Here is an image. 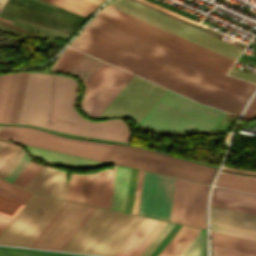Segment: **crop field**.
Here are the masks:
<instances>
[{
	"instance_id": "obj_3",
	"label": "crop field",
	"mask_w": 256,
	"mask_h": 256,
	"mask_svg": "<svg viewBox=\"0 0 256 256\" xmlns=\"http://www.w3.org/2000/svg\"><path fill=\"white\" fill-rule=\"evenodd\" d=\"M142 219L96 207L62 250L113 256Z\"/></svg>"
},
{
	"instance_id": "obj_18",
	"label": "crop field",
	"mask_w": 256,
	"mask_h": 256,
	"mask_svg": "<svg viewBox=\"0 0 256 256\" xmlns=\"http://www.w3.org/2000/svg\"><path fill=\"white\" fill-rule=\"evenodd\" d=\"M211 221L256 231V215L213 205Z\"/></svg>"
},
{
	"instance_id": "obj_50",
	"label": "crop field",
	"mask_w": 256,
	"mask_h": 256,
	"mask_svg": "<svg viewBox=\"0 0 256 256\" xmlns=\"http://www.w3.org/2000/svg\"><path fill=\"white\" fill-rule=\"evenodd\" d=\"M211 204L256 214V210L255 209L245 208V207L231 205V204L222 203V202H217V201H213V200H211Z\"/></svg>"
},
{
	"instance_id": "obj_48",
	"label": "crop field",
	"mask_w": 256,
	"mask_h": 256,
	"mask_svg": "<svg viewBox=\"0 0 256 256\" xmlns=\"http://www.w3.org/2000/svg\"><path fill=\"white\" fill-rule=\"evenodd\" d=\"M256 118V94L251 100L245 114L243 115L242 120H247V119H253Z\"/></svg>"
},
{
	"instance_id": "obj_17",
	"label": "crop field",
	"mask_w": 256,
	"mask_h": 256,
	"mask_svg": "<svg viewBox=\"0 0 256 256\" xmlns=\"http://www.w3.org/2000/svg\"><path fill=\"white\" fill-rule=\"evenodd\" d=\"M115 169L116 166L93 174L88 204L109 208Z\"/></svg>"
},
{
	"instance_id": "obj_7",
	"label": "crop field",
	"mask_w": 256,
	"mask_h": 256,
	"mask_svg": "<svg viewBox=\"0 0 256 256\" xmlns=\"http://www.w3.org/2000/svg\"><path fill=\"white\" fill-rule=\"evenodd\" d=\"M65 202L35 194L2 234L0 244L30 247Z\"/></svg>"
},
{
	"instance_id": "obj_53",
	"label": "crop field",
	"mask_w": 256,
	"mask_h": 256,
	"mask_svg": "<svg viewBox=\"0 0 256 256\" xmlns=\"http://www.w3.org/2000/svg\"><path fill=\"white\" fill-rule=\"evenodd\" d=\"M13 25H17V26H20V27H24V28L35 30V31H38V32H42V33H46V34H49V35H53V36H56V37H59V38L65 39V40L68 39V37L61 36V35H58V34H55V33H52V32H48V31L36 28V27H32V26H29V25H26V24H23V23H19V22H16V21H14Z\"/></svg>"
},
{
	"instance_id": "obj_38",
	"label": "crop field",
	"mask_w": 256,
	"mask_h": 256,
	"mask_svg": "<svg viewBox=\"0 0 256 256\" xmlns=\"http://www.w3.org/2000/svg\"><path fill=\"white\" fill-rule=\"evenodd\" d=\"M18 148L19 146L13 143L0 141V170L17 151Z\"/></svg>"
},
{
	"instance_id": "obj_26",
	"label": "crop field",
	"mask_w": 256,
	"mask_h": 256,
	"mask_svg": "<svg viewBox=\"0 0 256 256\" xmlns=\"http://www.w3.org/2000/svg\"><path fill=\"white\" fill-rule=\"evenodd\" d=\"M64 9L70 10L77 14L87 17L98 5L90 0H43Z\"/></svg>"
},
{
	"instance_id": "obj_10",
	"label": "crop field",
	"mask_w": 256,
	"mask_h": 256,
	"mask_svg": "<svg viewBox=\"0 0 256 256\" xmlns=\"http://www.w3.org/2000/svg\"><path fill=\"white\" fill-rule=\"evenodd\" d=\"M166 91L163 87L133 76L97 118L126 117L138 124Z\"/></svg>"
},
{
	"instance_id": "obj_49",
	"label": "crop field",
	"mask_w": 256,
	"mask_h": 256,
	"mask_svg": "<svg viewBox=\"0 0 256 256\" xmlns=\"http://www.w3.org/2000/svg\"><path fill=\"white\" fill-rule=\"evenodd\" d=\"M228 74L256 83V75L231 68Z\"/></svg>"
},
{
	"instance_id": "obj_15",
	"label": "crop field",
	"mask_w": 256,
	"mask_h": 256,
	"mask_svg": "<svg viewBox=\"0 0 256 256\" xmlns=\"http://www.w3.org/2000/svg\"><path fill=\"white\" fill-rule=\"evenodd\" d=\"M45 171H47V173H45ZM66 173L67 172L42 166L27 187H25L33 192L66 199L68 187Z\"/></svg>"
},
{
	"instance_id": "obj_56",
	"label": "crop field",
	"mask_w": 256,
	"mask_h": 256,
	"mask_svg": "<svg viewBox=\"0 0 256 256\" xmlns=\"http://www.w3.org/2000/svg\"><path fill=\"white\" fill-rule=\"evenodd\" d=\"M11 221L12 219H9L0 215V234L10 224Z\"/></svg>"
},
{
	"instance_id": "obj_32",
	"label": "crop field",
	"mask_w": 256,
	"mask_h": 256,
	"mask_svg": "<svg viewBox=\"0 0 256 256\" xmlns=\"http://www.w3.org/2000/svg\"><path fill=\"white\" fill-rule=\"evenodd\" d=\"M23 204L10 198L0 195V214L14 219L16 214L22 208ZM24 207V206H23Z\"/></svg>"
},
{
	"instance_id": "obj_1",
	"label": "crop field",
	"mask_w": 256,
	"mask_h": 256,
	"mask_svg": "<svg viewBox=\"0 0 256 256\" xmlns=\"http://www.w3.org/2000/svg\"><path fill=\"white\" fill-rule=\"evenodd\" d=\"M70 46L199 102L236 114L256 87L95 18Z\"/></svg>"
},
{
	"instance_id": "obj_62",
	"label": "crop field",
	"mask_w": 256,
	"mask_h": 256,
	"mask_svg": "<svg viewBox=\"0 0 256 256\" xmlns=\"http://www.w3.org/2000/svg\"><path fill=\"white\" fill-rule=\"evenodd\" d=\"M0 16H2V15H0ZM2 17H4V18H7V19H10V18H8V17H5V16H2ZM10 20H12V21H13V19H10Z\"/></svg>"
},
{
	"instance_id": "obj_12",
	"label": "crop field",
	"mask_w": 256,
	"mask_h": 256,
	"mask_svg": "<svg viewBox=\"0 0 256 256\" xmlns=\"http://www.w3.org/2000/svg\"><path fill=\"white\" fill-rule=\"evenodd\" d=\"M94 208L67 201L31 247L61 250Z\"/></svg>"
},
{
	"instance_id": "obj_11",
	"label": "crop field",
	"mask_w": 256,
	"mask_h": 256,
	"mask_svg": "<svg viewBox=\"0 0 256 256\" xmlns=\"http://www.w3.org/2000/svg\"><path fill=\"white\" fill-rule=\"evenodd\" d=\"M132 77L131 74L102 62L83 83L81 110L96 118Z\"/></svg>"
},
{
	"instance_id": "obj_54",
	"label": "crop field",
	"mask_w": 256,
	"mask_h": 256,
	"mask_svg": "<svg viewBox=\"0 0 256 256\" xmlns=\"http://www.w3.org/2000/svg\"><path fill=\"white\" fill-rule=\"evenodd\" d=\"M0 194H3L5 196H7V197H10V198H12V199H14L16 201H19V202H21L23 204H25L28 201V199H26L24 197H21V196H19L17 194H14V193H12L10 191H7V190H5L3 188H0Z\"/></svg>"
},
{
	"instance_id": "obj_39",
	"label": "crop field",
	"mask_w": 256,
	"mask_h": 256,
	"mask_svg": "<svg viewBox=\"0 0 256 256\" xmlns=\"http://www.w3.org/2000/svg\"><path fill=\"white\" fill-rule=\"evenodd\" d=\"M173 225V223L167 222L166 225L161 229V231L157 234V236L153 239V241L148 245V247L140 256H149L151 252L156 248V246L160 243V241L164 238V236L173 227Z\"/></svg>"
},
{
	"instance_id": "obj_5",
	"label": "crop field",
	"mask_w": 256,
	"mask_h": 256,
	"mask_svg": "<svg viewBox=\"0 0 256 256\" xmlns=\"http://www.w3.org/2000/svg\"><path fill=\"white\" fill-rule=\"evenodd\" d=\"M224 115L225 112L168 90L138 125L151 130L179 133L213 131Z\"/></svg>"
},
{
	"instance_id": "obj_19",
	"label": "crop field",
	"mask_w": 256,
	"mask_h": 256,
	"mask_svg": "<svg viewBox=\"0 0 256 256\" xmlns=\"http://www.w3.org/2000/svg\"><path fill=\"white\" fill-rule=\"evenodd\" d=\"M199 231V229L182 226L158 256H180Z\"/></svg>"
},
{
	"instance_id": "obj_33",
	"label": "crop field",
	"mask_w": 256,
	"mask_h": 256,
	"mask_svg": "<svg viewBox=\"0 0 256 256\" xmlns=\"http://www.w3.org/2000/svg\"><path fill=\"white\" fill-rule=\"evenodd\" d=\"M28 74L29 73L21 74V78H20V82H19V86H18V90H17V94H16V98H15V102H14V106H13V110H12V114H11L9 123L16 124V122H17V118H18V114H19V110H20V106H21V102H22V98H23V94H24V90H25V86H26V82H27V78H28Z\"/></svg>"
},
{
	"instance_id": "obj_34",
	"label": "crop field",
	"mask_w": 256,
	"mask_h": 256,
	"mask_svg": "<svg viewBox=\"0 0 256 256\" xmlns=\"http://www.w3.org/2000/svg\"><path fill=\"white\" fill-rule=\"evenodd\" d=\"M20 74L21 73H16V74L13 75V79H12V83H11V87H10V91H9V95H8V99H7V102H6V106H5V110H4V114H3V118H2L1 123H8L9 122V118H10V114H11V110H12V106H13V102H14V98H15V94H16Z\"/></svg>"
},
{
	"instance_id": "obj_55",
	"label": "crop field",
	"mask_w": 256,
	"mask_h": 256,
	"mask_svg": "<svg viewBox=\"0 0 256 256\" xmlns=\"http://www.w3.org/2000/svg\"><path fill=\"white\" fill-rule=\"evenodd\" d=\"M16 21L23 22V23H26V24H29V25H32V26H36V27H39V28H42V29H45V30H48V31H52V32H55V33H58V34H61V35H65V36H68V37L70 35L69 33H65V32H62V31H59V30L48 28V27L38 25V24H35V23H32V22H28V21H25V20H22V19L16 18Z\"/></svg>"
},
{
	"instance_id": "obj_16",
	"label": "crop field",
	"mask_w": 256,
	"mask_h": 256,
	"mask_svg": "<svg viewBox=\"0 0 256 256\" xmlns=\"http://www.w3.org/2000/svg\"><path fill=\"white\" fill-rule=\"evenodd\" d=\"M24 147L34 157L46 160L56 166L76 168V169H93V168L109 165L99 161L89 160V159L80 158V157H73V156L56 153L52 151L32 148L28 146H24Z\"/></svg>"
},
{
	"instance_id": "obj_58",
	"label": "crop field",
	"mask_w": 256,
	"mask_h": 256,
	"mask_svg": "<svg viewBox=\"0 0 256 256\" xmlns=\"http://www.w3.org/2000/svg\"><path fill=\"white\" fill-rule=\"evenodd\" d=\"M3 76H4V75H1V76H0V88H1L2 80H3Z\"/></svg>"
},
{
	"instance_id": "obj_57",
	"label": "crop field",
	"mask_w": 256,
	"mask_h": 256,
	"mask_svg": "<svg viewBox=\"0 0 256 256\" xmlns=\"http://www.w3.org/2000/svg\"><path fill=\"white\" fill-rule=\"evenodd\" d=\"M166 222H163L161 226L156 230V232L151 236V238L146 242V244L141 248V250L136 254V256H139L143 250L147 247V245L151 242V240L156 236V234L160 231V229L165 225Z\"/></svg>"
},
{
	"instance_id": "obj_42",
	"label": "crop field",
	"mask_w": 256,
	"mask_h": 256,
	"mask_svg": "<svg viewBox=\"0 0 256 256\" xmlns=\"http://www.w3.org/2000/svg\"><path fill=\"white\" fill-rule=\"evenodd\" d=\"M0 186L5 188V189H8V190H10L12 192H15V193H17V194H19L21 196H24V197H26L28 199H30V197L33 194L32 192H30L28 190H25V189H23L21 187H18L16 185H14V184L6 182V181H4L2 179H0Z\"/></svg>"
},
{
	"instance_id": "obj_8",
	"label": "crop field",
	"mask_w": 256,
	"mask_h": 256,
	"mask_svg": "<svg viewBox=\"0 0 256 256\" xmlns=\"http://www.w3.org/2000/svg\"><path fill=\"white\" fill-rule=\"evenodd\" d=\"M0 139L11 140L97 160H100L111 146L109 144L66 138L28 127L15 126H4L0 131Z\"/></svg>"
},
{
	"instance_id": "obj_30",
	"label": "crop field",
	"mask_w": 256,
	"mask_h": 256,
	"mask_svg": "<svg viewBox=\"0 0 256 256\" xmlns=\"http://www.w3.org/2000/svg\"><path fill=\"white\" fill-rule=\"evenodd\" d=\"M0 256H87V255L0 247Z\"/></svg>"
},
{
	"instance_id": "obj_40",
	"label": "crop field",
	"mask_w": 256,
	"mask_h": 256,
	"mask_svg": "<svg viewBox=\"0 0 256 256\" xmlns=\"http://www.w3.org/2000/svg\"><path fill=\"white\" fill-rule=\"evenodd\" d=\"M12 75L13 74H9V75H5V77H4V81H3V85H2V89H1V93H0V122H1L2 114H3L6 98L8 95Z\"/></svg>"
},
{
	"instance_id": "obj_63",
	"label": "crop field",
	"mask_w": 256,
	"mask_h": 256,
	"mask_svg": "<svg viewBox=\"0 0 256 256\" xmlns=\"http://www.w3.org/2000/svg\"><path fill=\"white\" fill-rule=\"evenodd\" d=\"M93 1L100 3V1H98V0H93Z\"/></svg>"
},
{
	"instance_id": "obj_20",
	"label": "crop field",
	"mask_w": 256,
	"mask_h": 256,
	"mask_svg": "<svg viewBox=\"0 0 256 256\" xmlns=\"http://www.w3.org/2000/svg\"><path fill=\"white\" fill-rule=\"evenodd\" d=\"M212 245L256 255V241L211 231Z\"/></svg>"
},
{
	"instance_id": "obj_46",
	"label": "crop field",
	"mask_w": 256,
	"mask_h": 256,
	"mask_svg": "<svg viewBox=\"0 0 256 256\" xmlns=\"http://www.w3.org/2000/svg\"><path fill=\"white\" fill-rule=\"evenodd\" d=\"M213 256H255L212 246Z\"/></svg>"
},
{
	"instance_id": "obj_65",
	"label": "crop field",
	"mask_w": 256,
	"mask_h": 256,
	"mask_svg": "<svg viewBox=\"0 0 256 256\" xmlns=\"http://www.w3.org/2000/svg\"><path fill=\"white\" fill-rule=\"evenodd\" d=\"M2 6H0V8H1Z\"/></svg>"
},
{
	"instance_id": "obj_28",
	"label": "crop field",
	"mask_w": 256,
	"mask_h": 256,
	"mask_svg": "<svg viewBox=\"0 0 256 256\" xmlns=\"http://www.w3.org/2000/svg\"><path fill=\"white\" fill-rule=\"evenodd\" d=\"M207 186L200 185L198 187L194 217L192 226L198 228H204V221H205V203H206V196L208 192Z\"/></svg>"
},
{
	"instance_id": "obj_59",
	"label": "crop field",
	"mask_w": 256,
	"mask_h": 256,
	"mask_svg": "<svg viewBox=\"0 0 256 256\" xmlns=\"http://www.w3.org/2000/svg\"><path fill=\"white\" fill-rule=\"evenodd\" d=\"M13 1H17V2H20V3H23V4L26 3L25 1H22V0H13Z\"/></svg>"
},
{
	"instance_id": "obj_45",
	"label": "crop field",
	"mask_w": 256,
	"mask_h": 256,
	"mask_svg": "<svg viewBox=\"0 0 256 256\" xmlns=\"http://www.w3.org/2000/svg\"><path fill=\"white\" fill-rule=\"evenodd\" d=\"M144 171L139 170L132 213L137 214Z\"/></svg>"
},
{
	"instance_id": "obj_35",
	"label": "crop field",
	"mask_w": 256,
	"mask_h": 256,
	"mask_svg": "<svg viewBox=\"0 0 256 256\" xmlns=\"http://www.w3.org/2000/svg\"><path fill=\"white\" fill-rule=\"evenodd\" d=\"M41 166L29 162L22 172L15 178L13 183L25 188L33 176L37 173Z\"/></svg>"
},
{
	"instance_id": "obj_24",
	"label": "crop field",
	"mask_w": 256,
	"mask_h": 256,
	"mask_svg": "<svg viewBox=\"0 0 256 256\" xmlns=\"http://www.w3.org/2000/svg\"><path fill=\"white\" fill-rule=\"evenodd\" d=\"M29 4V3H28ZM28 4H26V7H30V8H34V9H37V10H41V11H45V12H48V13H51V14H53V12L52 11H50V10H46V9H43V8H39V7H36V6H32V5H28ZM26 7H24V9H27V10H30V11H33V12H37V13H40V14H43V15H46V16H49V17H51V14H48V13H45V12H41V11H37V10H34V9H30V8H26ZM23 9V10H24ZM27 10H25V11H27ZM29 11V12H30ZM22 13H25V14H28V15H32V16H35V17H38V18H41V19H44V20H48V21H51V22H54V23H57V24H60V25H63V26H67V27H70V28H73V29H75V27L79 24V22H81V21H79V20H77V19H75V18H73V17H70V16H66V15H63V14H60V13H56V12H54V15H58V16H61V17H65V18H68V19H72V20H75V21H79V22H75V21H72V20H68V19H65V18H61V17H58V16H54L53 15V17H57V18H60V19H64V20H67V21H71V22H74V23H78L75 27H72V26H68V25H65V24H62V23H59V22H55V21H52V20H49V19H46V18H43V17H39V16H36V15H33V14H30V13H26V12H23V11H21ZM32 12V13H33ZM22 13H20V15H23V16H27V17H30V18H33V19H36V20H39V21H43V22H46V23H49V24H52V25H56V26H60V25H57V24H54V23H51V22H47V21H44V20H41V19H38V18H35V17H32V16H28V15H25V14H22ZM36 14V13H35ZM39 14V15H40ZM20 15H18V18H22V19H25V20H28V21H32V22H35V23H38V24H42V25H45V26H49V27H52V28H58L59 30H63V31H66V32H70V33H72V30H68V29H70V28H68V29H64V28H67V27H64V28H60V27H63V26H60V27H56V26H52V25H49V24H46V23H42V22H39V21H36V20H33V19H30V18H26V17H23V16H20ZM42 15V16H43ZM45 16V17H46ZM52 17V18H53ZM56 18V19H57ZM59 19V20H60ZM63 20V21H64ZM62 21V22H63ZM66 21V22H67ZM73 23V24H74ZM72 24V25H73Z\"/></svg>"
},
{
	"instance_id": "obj_37",
	"label": "crop field",
	"mask_w": 256,
	"mask_h": 256,
	"mask_svg": "<svg viewBox=\"0 0 256 256\" xmlns=\"http://www.w3.org/2000/svg\"><path fill=\"white\" fill-rule=\"evenodd\" d=\"M83 175L71 174L67 199L79 202Z\"/></svg>"
},
{
	"instance_id": "obj_43",
	"label": "crop field",
	"mask_w": 256,
	"mask_h": 256,
	"mask_svg": "<svg viewBox=\"0 0 256 256\" xmlns=\"http://www.w3.org/2000/svg\"><path fill=\"white\" fill-rule=\"evenodd\" d=\"M24 151L20 147L19 150L14 154V156L9 160V162L4 166V168L0 171V177L5 178L8 172L12 169V167L16 164L19 158L23 155Z\"/></svg>"
},
{
	"instance_id": "obj_60",
	"label": "crop field",
	"mask_w": 256,
	"mask_h": 256,
	"mask_svg": "<svg viewBox=\"0 0 256 256\" xmlns=\"http://www.w3.org/2000/svg\"><path fill=\"white\" fill-rule=\"evenodd\" d=\"M0 19H1V20H4V21H7V22H9V23H12V21H9V20H7V19L1 18V17H0Z\"/></svg>"
},
{
	"instance_id": "obj_61",
	"label": "crop field",
	"mask_w": 256,
	"mask_h": 256,
	"mask_svg": "<svg viewBox=\"0 0 256 256\" xmlns=\"http://www.w3.org/2000/svg\"><path fill=\"white\" fill-rule=\"evenodd\" d=\"M6 0H0V4L3 5V3L5 2ZM5 4V3H4Z\"/></svg>"
},
{
	"instance_id": "obj_29",
	"label": "crop field",
	"mask_w": 256,
	"mask_h": 256,
	"mask_svg": "<svg viewBox=\"0 0 256 256\" xmlns=\"http://www.w3.org/2000/svg\"><path fill=\"white\" fill-rule=\"evenodd\" d=\"M100 63L101 61L85 54L69 73L78 76L83 83Z\"/></svg>"
},
{
	"instance_id": "obj_64",
	"label": "crop field",
	"mask_w": 256,
	"mask_h": 256,
	"mask_svg": "<svg viewBox=\"0 0 256 256\" xmlns=\"http://www.w3.org/2000/svg\"><path fill=\"white\" fill-rule=\"evenodd\" d=\"M3 126H0V130L2 129Z\"/></svg>"
},
{
	"instance_id": "obj_31",
	"label": "crop field",
	"mask_w": 256,
	"mask_h": 256,
	"mask_svg": "<svg viewBox=\"0 0 256 256\" xmlns=\"http://www.w3.org/2000/svg\"><path fill=\"white\" fill-rule=\"evenodd\" d=\"M211 230L256 240V232L211 222Z\"/></svg>"
},
{
	"instance_id": "obj_14",
	"label": "crop field",
	"mask_w": 256,
	"mask_h": 256,
	"mask_svg": "<svg viewBox=\"0 0 256 256\" xmlns=\"http://www.w3.org/2000/svg\"><path fill=\"white\" fill-rule=\"evenodd\" d=\"M198 183L176 178L169 221L190 225Z\"/></svg>"
},
{
	"instance_id": "obj_13",
	"label": "crop field",
	"mask_w": 256,
	"mask_h": 256,
	"mask_svg": "<svg viewBox=\"0 0 256 256\" xmlns=\"http://www.w3.org/2000/svg\"><path fill=\"white\" fill-rule=\"evenodd\" d=\"M174 181L145 172L138 215L168 221Z\"/></svg>"
},
{
	"instance_id": "obj_22",
	"label": "crop field",
	"mask_w": 256,
	"mask_h": 256,
	"mask_svg": "<svg viewBox=\"0 0 256 256\" xmlns=\"http://www.w3.org/2000/svg\"><path fill=\"white\" fill-rule=\"evenodd\" d=\"M211 199L256 209L255 195L241 193L220 187H214Z\"/></svg>"
},
{
	"instance_id": "obj_4",
	"label": "crop field",
	"mask_w": 256,
	"mask_h": 256,
	"mask_svg": "<svg viewBox=\"0 0 256 256\" xmlns=\"http://www.w3.org/2000/svg\"><path fill=\"white\" fill-rule=\"evenodd\" d=\"M95 18L148 40L170 51L210 67L223 74L233 60L129 16L109 6L102 8Z\"/></svg>"
},
{
	"instance_id": "obj_44",
	"label": "crop field",
	"mask_w": 256,
	"mask_h": 256,
	"mask_svg": "<svg viewBox=\"0 0 256 256\" xmlns=\"http://www.w3.org/2000/svg\"><path fill=\"white\" fill-rule=\"evenodd\" d=\"M9 2H12V3H14V4L20 5V6H22V7L24 6L23 4L16 3V2H13V1H10V0H9ZM9 2L6 3L5 7H8V8H10V9L16 10V11H18V12L21 11L22 7H19V6H17V5L11 4V3H9ZM5 7H3V9H2L1 12H0V14H3V15H5V16H8V17H11V18L15 19V17L18 15V12H15V11H13V10L7 9V8H5Z\"/></svg>"
},
{
	"instance_id": "obj_27",
	"label": "crop field",
	"mask_w": 256,
	"mask_h": 256,
	"mask_svg": "<svg viewBox=\"0 0 256 256\" xmlns=\"http://www.w3.org/2000/svg\"><path fill=\"white\" fill-rule=\"evenodd\" d=\"M83 55L82 52L66 47L50 69L68 73Z\"/></svg>"
},
{
	"instance_id": "obj_6",
	"label": "crop field",
	"mask_w": 256,
	"mask_h": 256,
	"mask_svg": "<svg viewBox=\"0 0 256 256\" xmlns=\"http://www.w3.org/2000/svg\"><path fill=\"white\" fill-rule=\"evenodd\" d=\"M102 161L210 183L215 169L196 165L150 151L112 145Z\"/></svg>"
},
{
	"instance_id": "obj_36",
	"label": "crop field",
	"mask_w": 256,
	"mask_h": 256,
	"mask_svg": "<svg viewBox=\"0 0 256 256\" xmlns=\"http://www.w3.org/2000/svg\"><path fill=\"white\" fill-rule=\"evenodd\" d=\"M204 233L201 230L181 256H204Z\"/></svg>"
},
{
	"instance_id": "obj_21",
	"label": "crop field",
	"mask_w": 256,
	"mask_h": 256,
	"mask_svg": "<svg viewBox=\"0 0 256 256\" xmlns=\"http://www.w3.org/2000/svg\"><path fill=\"white\" fill-rule=\"evenodd\" d=\"M130 171L131 169L129 168L117 166L111 205H110L111 209H115L123 212L127 188H128V182L130 177ZM122 173H124L123 181H122ZM121 181H122V184H121Z\"/></svg>"
},
{
	"instance_id": "obj_41",
	"label": "crop field",
	"mask_w": 256,
	"mask_h": 256,
	"mask_svg": "<svg viewBox=\"0 0 256 256\" xmlns=\"http://www.w3.org/2000/svg\"><path fill=\"white\" fill-rule=\"evenodd\" d=\"M31 158L25 152L21 159L17 162V164L13 167L10 173L6 176L5 180L10 182L18 175V173L23 169V167L28 163Z\"/></svg>"
},
{
	"instance_id": "obj_66",
	"label": "crop field",
	"mask_w": 256,
	"mask_h": 256,
	"mask_svg": "<svg viewBox=\"0 0 256 256\" xmlns=\"http://www.w3.org/2000/svg\"><path fill=\"white\" fill-rule=\"evenodd\" d=\"M100 1H102V0H100Z\"/></svg>"
},
{
	"instance_id": "obj_23",
	"label": "crop field",
	"mask_w": 256,
	"mask_h": 256,
	"mask_svg": "<svg viewBox=\"0 0 256 256\" xmlns=\"http://www.w3.org/2000/svg\"><path fill=\"white\" fill-rule=\"evenodd\" d=\"M156 221L155 219L144 218L114 256H129Z\"/></svg>"
},
{
	"instance_id": "obj_47",
	"label": "crop field",
	"mask_w": 256,
	"mask_h": 256,
	"mask_svg": "<svg viewBox=\"0 0 256 256\" xmlns=\"http://www.w3.org/2000/svg\"><path fill=\"white\" fill-rule=\"evenodd\" d=\"M92 174H85L83 178L82 192L80 202L86 203L88 201L90 183H91Z\"/></svg>"
},
{
	"instance_id": "obj_2",
	"label": "crop field",
	"mask_w": 256,
	"mask_h": 256,
	"mask_svg": "<svg viewBox=\"0 0 256 256\" xmlns=\"http://www.w3.org/2000/svg\"><path fill=\"white\" fill-rule=\"evenodd\" d=\"M77 87L69 77L30 73L17 124L129 143L132 134L123 120L90 122L75 110Z\"/></svg>"
},
{
	"instance_id": "obj_25",
	"label": "crop field",
	"mask_w": 256,
	"mask_h": 256,
	"mask_svg": "<svg viewBox=\"0 0 256 256\" xmlns=\"http://www.w3.org/2000/svg\"><path fill=\"white\" fill-rule=\"evenodd\" d=\"M215 184L256 193V178L220 173Z\"/></svg>"
},
{
	"instance_id": "obj_9",
	"label": "crop field",
	"mask_w": 256,
	"mask_h": 256,
	"mask_svg": "<svg viewBox=\"0 0 256 256\" xmlns=\"http://www.w3.org/2000/svg\"><path fill=\"white\" fill-rule=\"evenodd\" d=\"M108 5L227 56L233 60L242 50L207 34L174 21L158 12L129 0H113ZM240 55V54H239ZM237 59V58H236Z\"/></svg>"
},
{
	"instance_id": "obj_52",
	"label": "crop field",
	"mask_w": 256,
	"mask_h": 256,
	"mask_svg": "<svg viewBox=\"0 0 256 256\" xmlns=\"http://www.w3.org/2000/svg\"><path fill=\"white\" fill-rule=\"evenodd\" d=\"M161 223L162 221H157V223L153 226V228L149 231V233L145 236V238L142 240V242L138 245V247L130 256H135V254L140 250V248L145 244V242L150 238V236L155 232V230L160 226Z\"/></svg>"
},
{
	"instance_id": "obj_51",
	"label": "crop field",
	"mask_w": 256,
	"mask_h": 256,
	"mask_svg": "<svg viewBox=\"0 0 256 256\" xmlns=\"http://www.w3.org/2000/svg\"><path fill=\"white\" fill-rule=\"evenodd\" d=\"M27 1H30V2H32V3H34V4H36V5H39V6H42V7H45V8H47V9H51V10H52V8L47 7V6H44V5H42V4H39V3H37V2H34V1H32V0H27ZM53 11H56V12H60V13H63V14H67V15L73 16V17H75V18H77V19H79V20H81V21H83V20L85 19V17H83V16L77 15V14H75V13H72V12H70V11L64 10V9H62V8L56 7V8H54Z\"/></svg>"
}]
</instances>
